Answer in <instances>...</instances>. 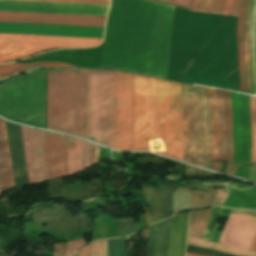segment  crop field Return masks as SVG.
Listing matches in <instances>:
<instances>
[{"label": "crop field", "mask_w": 256, "mask_h": 256, "mask_svg": "<svg viewBox=\"0 0 256 256\" xmlns=\"http://www.w3.org/2000/svg\"><path fill=\"white\" fill-rule=\"evenodd\" d=\"M102 39L0 33V63L9 62L45 49L91 47Z\"/></svg>", "instance_id": "crop-field-7"}, {"label": "crop field", "mask_w": 256, "mask_h": 256, "mask_svg": "<svg viewBox=\"0 0 256 256\" xmlns=\"http://www.w3.org/2000/svg\"><path fill=\"white\" fill-rule=\"evenodd\" d=\"M46 72L9 82L0 88V115L45 128Z\"/></svg>", "instance_id": "crop-field-5"}, {"label": "crop field", "mask_w": 256, "mask_h": 256, "mask_svg": "<svg viewBox=\"0 0 256 256\" xmlns=\"http://www.w3.org/2000/svg\"><path fill=\"white\" fill-rule=\"evenodd\" d=\"M218 189L210 188L205 207L212 206ZM204 207V208H205Z\"/></svg>", "instance_id": "crop-field-36"}, {"label": "crop field", "mask_w": 256, "mask_h": 256, "mask_svg": "<svg viewBox=\"0 0 256 256\" xmlns=\"http://www.w3.org/2000/svg\"><path fill=\"white\" fill-rule=\"evenodd\" d=\"M158 143L183 161L181 84L133 74L132 150L159 153Z\"/></svg>", "instance_id": "crop-field-3"}, {"label": "crop field", "mask_w": 256, "mask_h": 256, "mask_svg": "<svg viewBox=\"0 0 256 256\" xmlns=\"http://www.w3.org/2000/svg\"><path fill=\"white\" fill-rule=\"evenodd\" d=\"M113 72L90 70L89 140L111 148Z\"/></svg>", "instance_id": "crop-field-6"}, {"label": "crop field", "mask_w": 256, "mask_h": 256, "mask_svg": "<svg viewBox=\"0 0 256 256\" xmlns=\"http://www.w3.org/2000/svg\"><path fill=\"white\" fill-rule=\"evenodd\" d=\"M90 244L80 250L79 256H88Z\"/></svg>", "instance_id": "crop-field-40"}, {"label": "crop field", "mask_w": 256, "mask_h": 256, "mask_svg": "<svg viewBox=\"0 0 256 256\" xmlns=\"http://www.w3.org/2000/svg\"><path fill=\"white\" fill-rule=\"evenodd\" d=\"M169 220L151 226L148 256H165Z\"/></svg>", "instance_id": "crop-field-18"}, {"label": "crop field", "mask_w": 256, "mask_h": 256, "mask_svg": "<svg viewBox=\"0 0 256 256\" xmlns=\"http://www.w3.org/2000/svg\"><path fill=\"white\" fill-rule=\"evenodd\" d=\"M160 185H165L166 188L159 189L160 197H161V208L164 214V217L167 218L173 215L172 211V198H173V191L176 188L175 184L166 181H159Z\"/></svg>", "instance_id": "crop-field-22"}, {"label": "crop field", "mask_w": 256, "mask_h": 256, "mask_svg": "<svg viewBox=\"0 0 256 256\" xmlns=\"http://www.w3.org/2000/svg\"><path fill=\"white\" fill-rule=\"evenodd\" d=\"M107 240L97 241L91 244L89 256H106Z\"/></svg>", "instance_id": "crop-field-30"}, {"label": "crop field", "mask_w": 256, "mask_h": 256, "mask_svg": "<svg viewBox=\"0 0 256 256\" xmlns=\"http://www.w3.org/2000/svg\"><path fill=\"white\" fill-rule=\"evenodd\" d=\"M36 183L46 181L43 162L44 132L27 128Z\"/></svg>", "instance_id": "crop-field-16"}, {"label": "crop field", "mask_w": 256, "mask_h": 256, "mask_svg": "<svg viewBox=\"0 0 256 256\" xmlns=\"http://www.w3.org/2000/svg\"><path fill=\"white\" fill-rule=\"evenodd\" d=\"M229 192L224 190H218V194L215 200L214 206H222Z\"/></svg>", "instance_id": "crop-field-33"}, {"label": "crop field", "mask_w": 256, "mask_h": 256, "mask_svg": "<svg viewBox=\"0 0 256 256\" xmlns=\"http://www.w3.org/2000/svg\"><path fill=\"white\" fill-rule=\"evenodd\" d=\"M132 75L114 72L112 148L131 150Z\"/></svg>", "instance_id": "crop-field-8"}, {"label": "crop field", "mask_w": 256, "mask_h": 256, "mask_svg": "<svg viewBox=\"0 0 256 256\" xmlns=\"http://www.w3.org/2000/svg\"><path fill=\"white\" fill-rule=\"evenodd\" d=\"M238 0H192L188 10L237 16Z\"/></svg>", "instance_id": "crop-field-17"}, {"label": "crop field", "mask_w": 256, "mask_h": 256, "mask_svg": "<svg viewBox=\"0 0 256 256\" xmlns=\"http://www.w3.org/2000/svg\"><path fill=\"white\" fill-rule=\"evenodd\" d=\"M187 244L202 246V247L215 249V250H219V251H223V252H227V253H231V254H235V255H239V256H256L255 253L219 245V244L204 241V240L193 239V238H189V237H188Z\"/></svg>", "instance_id": "crop-field-23"}, {"label": "crop field", "mask_w": 256, "mask_h": 256, "mask_svg": "<svg viewBox=\"0 0 256 256\" xmlns=\"http://www.w3.org/2000/svg\"><path fill=\"white\" fill-rule=\"evenodd\" d=\"M90 143L84 144V163H83V168L86 169L89 167V151H90Z\"/></svg>", "instance_id": "crop-field-35"}, {"label": "crop field", "mask_w": 256, "mask_h": 256, "mask_svg": "<svg viewBox=\"0 0 256 256\" xmlns=\"http://www.w3.org/2000/svg\"><path fill=\"white\" fill-rule=\"evenodd\" d=\"M135 232V218L118 219V237L129 235Z\"/></svg>", "instance_id": "crop-field-29"}, {"label": "crop field", "mask_w": 256, "mask_h": 256, "mask_svg": "<svg viewBox=\"0 0 256 256\" xmlns=\"http://www.w3.org/2000/svg\"><path fill=\"white\" fill-rule=\"evenodd\" d=\"M143 193L151 213L152 223L163 219V215L160 208L158 189L151 186L142 185Z\"/></svg>", "instance_id": "crop-field-21"}, {"label": "crop field", "mask_w": 256, "mask_h": 256, "mask_svg": "<svg viewBox=\"0 0 256 256\" xmlns=\"http://www.w3.org/2000/svg\"><path fill=\"white\" fill-rule=\"evenodd\" d=\"M249 5L250 0H239L236 39L238 46L240 92L254 95L248 26Z\"/></svg>", "instance_id": "crop-field-9"}, {"label": "crop field", "mask_w": 256, "mask_h": 256, "mask_svg": "<svg viewBox=\"0 0 256 256\" xmlns=\"http://www.w3.org/2000/svg\"><path fill=\"white\" fill-rule=\"evenodd\" d=\"M173 11L150 0H111L101 68L165 79Z\"/></svg>", "instance_id": "crop-field-1"}, {"label": "crop field", "mask_w": 256, "mask_h": 256, "mask_svg": "<svg viewBox=\"0 0 256 256\" xmlns=\"http://www.w3.org/2000/svg\"><path fill=\"white\" fill-rule=\"evenodd\" d=\"M255 236H256V235H255ZM250 251L256 252V238H255V240H254V242H253V244H252V246H251V248H250Z\"/></svg>", "instance_id": "crop-field-42"}, {"label": "crop field", "mask_w": 256, "mask_h": 256, "mask_svg": "<svg viewBox=\"0 0 256 256\" xmlns=\"http://www.w3.org/2000/svg\"><path fill=\"white\" fill-rule=\"evenodd\" d=\"M220 161L234 155L230 91L217 89ZM216 89L182 83L185 162L206 168V160L219 161Z\"/></svg>", "instance_id": "crop-field-2"}, {"label": "crop field", "mask_w": 256, "mask_h": 256, "mask_svg": "<svg viewBox=\"0 0 256 256\" xmlns=\"http://www.w3.org/2000/svg\"><path fill=\"white\" fill-rule=\"evenodd\" d=\"M161 1H165V2H168V3H172V4H176V5L188 8L189 3H190L191 0H161Z\"/></svg>", "instance_id": "crop-field-39"}, {"label": "crop field", "mask_w": 256, "mask_h": 256, "mask_svg": "<svg viewBox=\"0 0 256 256\" xmlns=\"http://www.w3.org/2000/svg\"><path fill=\"white\" fill-rule=\"evenodd\" d=\"M85 245L84 240H77L75 242H69L67 246V250L65 256H70L73 252H75L79 247Z\"/></svg>", "instance_id": "crop-field-32"}, {"label": "crop field", "mask_w": 256, "mask_h": 256, "mask_svg": "<svg viewBox=\"0 0 256 256\" xmlns=\"http://www.w3.org/2000/svg\"><path fill=\"white\" fill-rule=\"evenodd\" d=\"M248 174H249V168L245 165H239L237 167V172H236V176L239 177H243V178H248Z\"/></svg>", "instance_id": "crop-field-34"}, {"label": "crop field", "mask_w": 256, "mask_h": 256, "mask_svg": "<svg viewBox=\"0 0 256 256\" xmlns=\"http://www.w3.org/2000/svg\"><path fill=\"white\" fill-rule=\"evenodd\" d=\"M28 1H50V2H71V3H92L109 5V0H28Z\"/></svg>", "instance_id": "crop-field-31"}, {"label": "crop field", "mask_w": 256, "mask_h": 256, "mask_svg": "<svg viewBox=\"0 0 256 256\" xmlns=\"http://www.w3.org/2000/svg\"><path fill=\"white\" fill-rule=\"evenodd\" d=\"M250 105H251V135H252L251 163H256V96L250 95Z\"/></svg>", "instance_id": "crop-field-26"}, {"label": "crop field", "mask_w": 256, "mask_h": 256, "mask_svg": "<svg viewBox=\"0 0 256 256\" xmlns=\"http://www.w3.org/2000/svg\"><path fill=\"white\" fill-rule=\"evenodd\" d=\"M231 96L234 119V161L250 163L251 135L249 96L232 91Z\"/></svg>", "instance_id": "crop-field-10"}, {"label": "crop field", "mask_w": 256, "mask_h": 256, "mask_svg": "<svg viewBox=\"0 0 256 256\" xmlns=\"http://www.w3.org/2000/svg\"><path fill=\"white\" fill-rule=\"evenodd\" d=\"M255 235V217L230 213L218 243L248 251Z\"/></svg>", "instance_id": "crop-field-13"}, {"label": "crop field", "mask_w": 256, "mask_h": 256, "mask_svg": "<svg viewBox=\"0 0 256 256\" xmlns=\"http://www.w3.org/2000/svg\"><path fill=\"white\" fill-rule=\"evenodd\" d=\"M67 137L49 133L48 167L51 179L65 177Z\"/></svg>", "instance_id": "crop-field-14"}, {"label": "crop field", "mask_w": 256, "mask_h": 256, "mask_svg": "<svg viewBox=\"0 0 256 256\" xmlns=\"http://www.w3.org/2000/svg\"><path fill=\"white\" fill-rule=\"evenodd\" d=\"M109 6L5 1L0 0V11L64 13L106 16Z\"/></svg>", "instance_id": "crop-field-11"}, {"label": "crop field", "mask_w": 256, "mask_h": 256, "mask_svg": "<svg viewBox=\"0 0 256 256\" xmlns=\"http://www.w3.org/2000/svg\"><path fill=\"white\" fill-rule=\"evenodd\" d=\"M89 70L48 72L47 129L88 139Z\"/></svg>", "instance_id": "crop-field-4"}, {"label": "crop field", "mask_w": 256, "mask_h": 256, "mask_svg": "<svg viewBox=\"0 0 256 256\" xmlns=\"http://www.w3.org/2000/svg\"><path fill=\"white\" fill-rule=\"evenodd\" d=\"M20 129H21V135H22L25 159H26L29 183L31 185V184L35 183V180H34V174H33V168H32L31 156H30V149H29L27 131H26L25 127H21L20 126Z\"/></svg>", "instance_id": "crop-field-27"}, {"label": "crop field", "mask_w": 256, "mask_h": 256, "mask_svg": "<svg viewBox=\"0 0 256 256\" xmlns=\"http://www.w3.org/2000/svg\"><path fill=\"white\" fill-rule=\"evenodd\" d=\"M15 186L5 121L0 119V187Z\"/></svg>", "instance_id": "crop-field-15"}, {"label": "crop field", "mask_w": 256, "mask_h": 256, "mask_svg": "<svg viewBox=\"0 0 256 256\" xmlns=\"http://www.w3.org/2000/svg\"><path fill=\"white\" fill-rule=\"evenodd\" d=\"M211 209L202 211H191L190 214V226H189V237L202 239L209 217Z\"/></svg>", "instance_id": "crop-field-20"}, {"label": "crop field", "mask_w": 256, "mask_h": 256, "mask_svg": "<svg viewBox=\"0 0 256 256\" xmlns=\"http://www.w3.org/2000/svg\"><path fill=\"white\" fill-rule=\"evenodd\" d=\"M78 253H79V252H78ZM75 255H76V254H75ZM75 255H74V256H75ZM76 256H78V255H76Z\"/></svg>", "instance_id": "crop-field-44"}, {"label": "crop field", "mask_w": 256, "mask_h": 256, "mask_svg": "<svg viewBox=\"0 0 256 256\" xmlns=\"http://www.w3.org/2000/svg\"><path fill=\"white\" fill-rule=\"evenodd\" d=\"M186 256H200V255L186 253Z\"/></svg>", "instance_id": "crop-field-43"}, {"label": "crop field", "mask_w": 256, "mask_h": 256, "mask_svg": "<svg viewBox=\"0 0 256 256\" xmlns=\"http://www.w3.org/2000/svg\"><path fill=\"white\" fill-rule=\"evenodd\" d=\"M47 137L48 133L45 132L44 135V142H43V148H44V162H45V172L47 175V179L49 180V174H48V168H47Z\"/></svg>", "instance_id": "crop-field-37"}, {"label": "crop field", "mask_w": 256, "mask_h": 256, "mask_svg": "<svg viewBox=\"0 0 256 256\" xmlns=\"http://www.w3.org/2000/svg\"><path fill=\"white\" fill-rule=\"evenodd\" d=\"M255 0H251L250 15H249V26H250V38L252 47V61H253V73H254V87L256 95V54H255V41H256V6L254 16V27H255V41H254V27H253V15H254Z\"/></svg>", "instance_id": "crop-field-24"}, {"label": "crop field", "mask_w": 256, "mask_h": 256, "mask_svg": "<svg viewBox=\"0 0 256 256\" xmlns=\"http://www.w3.org/2000/svg\"><path fill=\"white\" fill-rule=\"evenodd\" d=\"M222 164L223 163L212 162V169L220 171Z\"/></svg>", "instance_id": "crop-field-41"}, {"label": "crop field", "mask_w": 256, "mask_h": 256, "mask_svg": "<svg viewBox=\"0 0 256 256\" xmlns=\"http://www.w3.org/2000/svg\"><path fill=\"white\" fill-rule=\"evenodd\" d=\"M83 141L69 138L67 143V171L68 176L82 171Z\"/></svg>", "instance_id": "crop-field-19"}, {"label": "crop field", "mask_w": 256, "mask_h": 256, "mask_svg": "<svg viewBox=\"0 0 256 256\" xmlns=\"http://www.w3.org/2000/svg\"><path fill=\"white\" fill-rule=\"evenodd\" d=\"M126 237L108 240V256H125Z\"/></svg>", "instance_id": "crop-field-28"}, {"label": "crop field", "mask_w": 256, "mask_h": 256, "mask_svg": "<svg viewBox=\"0 0 256 256\" xmlns=\"http://www.w3.org/2000/svg\"><path fill=\"white\" fill-rule=\"evenodd\" d=\"M98 146L92 144L90 151V163L91 165L98 161Z\"/></svg>", "instance_id": "crop-field-38"}, {"label": "crop field", "mask_w": 256, "mask_h": 256, "mask_svg": "<svg viewBox=\"0 0 256 256\" xmlns=\"http://www.w3.org/2000/svg\"><path fill=\"white\" fill-rule=\"evenodd\" d=\"M35 65L48 66V67H74V66L65 65L62 63H33L28 65L9 64V65L0 66V76L22 71L28 68L29 66H35Z\"/></svg>", "instance_id": "crop-field-25"}, {"label": "crop field", "mask_w": 256, "mask_h": 256, "mask_svg": "<svg viewBox=\"0 0 256 256\" xmlns=\"http://www.w3.org/2000/svg\"><path fill=\"white\" fill-rule=\"evenodd\" d=\"M106 17L0 12V21L104 27Z\"/></svg>", "instance_id": "crop-field-12"}]
</instances>
